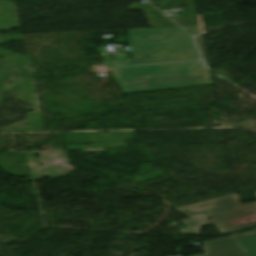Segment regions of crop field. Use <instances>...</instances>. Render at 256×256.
<instances>
[{"label":"crop field","instance_id":"crop-field-1","mask_svg":"<svg viewBox=\"0 0 256 256\" xmlns=\"http://www.w3.org/2000/svg\"><path fill=\"white\" fill-rule=\"evenodd\" d=\"M132 58L119 66L199 58L190 35L179 27L128 30Z\"/></svg>","mask_w":256,"mask_h":256},{"label":"crop field","instance_id":"crop-field-2","mask_svg":"<svg viewBox=\"0 0 256 256\" xmlns=\"http://www.w3.org/2000/svg\"><path fill=\"white\" fill-rule=\"evenodd\" d=\"M110 70L124 92L212 83L200 61Z\"/></svg>","mask_w":256,"mask_h":256},{"label":"crop field","instance_id":"crop-field-3","mask_svg":"<svg viewBox=\"0 0 256 256\" xmlns=\"http://www.w3.org/2000/svg\"><path fill=\"white\" fill-rule=\"evenodd\" d=\"M175 210L189 217L181 221L187 229L178 232L211 223L215 224L221 235L256 227V202L241 206L238 196L234 194Z\"/></svg>","mask_w":256,"mask_h":256},{"label":"crop field","instance_id":"crop-field-4","mask_svg":"<svg viewBox=\"0 0 256 256\" xmlns=\"http://www.w3.org/2000/svg\"><path fill=\"white\" fill-rule=\"evenodd\" d=\"M202 256H246L232 236L202 243Z\"/></svg>","mask_w":256,"mask_h":256},{"label":"crop field","instance_id":"crop-field-5","mask_svg":"<svg viewBox=\"0 0 256 256\" xmlns=\"http://www.w3.org/2000/svg\"><path fill=\"white\" fill-rule=\"evenodd\" d=\"M150 2L158 6L161 10L169 8H180L186 5L188 10L179 12L178 18H172L181 26L198 25L193 0H150Z\"/></svg>","mask_w":256,"mask_h":256},{"label":"crop field","instance_id":"crop-field-6","mask_svg":"<svg viewBox=\"0 0 256 256\" xmlns=\"http://www.w3.org/2000/svg\"><path fill=\"white\" fill-rule=\"evenodd\" d=\"M129 9L144 11L152 27L177 26L148 3H134Z\"/></svg>","mask_w":256,"mask_h":256},{"label":"crop field","instance_id":"crop-field-7","mask_svg":"<svg viewBox=\"0 0 256 256\" xmlns=\"http://www.w3.org/2000/svg\"><path fill=\"white\" fill-rule=\"evenodd\" d=\"M235 237L249 256H256V230L236 234Z\"/></svg>","mask_w":256,"mask_h":256},{"label":"crop field","instance_id":"crop-field-8","mask_svg":"<svg viewBox=\"0 0 256 256\" xmlns=\"http://www.w3.org/2000/svg\"><path fill=\"white\" fill-rule=\"evenodd\" d=\"M183 28H185L187 31H189L193 35L200 33L198 26H190V27H183Z\"/></svg>","mask_w":256,"mask_h":256},{"label":"crop field","instance_id":"crop-field-9","mask_svg":"<svg viewBox=\"0 0 256 256\" xmlns=\"http://www.w3.org/2000/svg\"><path fill=\"white\" fill-rule=\"evenodd\" d=\"M199 228H195V229H191V230H188V231L180 232V234L199 235Z\"/></svg>","mask_w":256,"mask_h":256},{"label":"crop field","instance_id":"crop-field-10","mask_svg":"<svg viewBox=\"0 0 256 256\" xmlns=\"http://www.w3.org/2000/svg\"><path fill=\"white\" fill-rule=\"evenodd\" d=\"M107 67H111V66H115L114 64V61L113 60H108V61H105Z\"/></svg>","mask_w":256,"mask_h":256}]
</instances>
